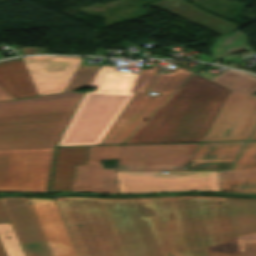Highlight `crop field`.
<instances>
[{
  "instance_id": "1",
  "label": "crop field",
  "mask_w": 256,
  "mask_h": 256,
  "mask_svg": "<svg viewBox=\"0 0 256 256\" xmlns=\"http://www.w3.org/2000/svg\"><path fill=\"white\" fill-rule=\"evenodd\" d=\"M55 199L80 256H241L224 197Z\"/></svg>"
},
{
  "instance_id": "2",
  "label": "crop field",
  "mask_w": 256,
  "mask_h": 256,
  "mask_svg": "<svg viewBox=\"0 0 256 256\" xmlns=\"http://www.w3.org/2000/svg\"><path fill=\"white\" fill-rule=\"evenodd\" d=\"M229 93L193 74L123 143L201 141Z\"/></svg>"
},
{
  "instance_id": "3",
  "label": "crop field",
  "mask_w": 256,
  "mask_h": 256,
  "mask_svg": "<svg viewBox=\"0 0 256 256\" xmlns=\"http://www.w3.org/2000/svg\"><path fill=\"white\" fill-rule=\"evenodd\" d=\"M96 71L77 68L63 92L22 101L0 102V148L56 146Z\"/></svg>"
},
{
  "instance_id": "4",
  "label": "crop field",
  "mask_w": 256,
  "mask_h": 256,
  "mask_svg": "<svg viewBox=\"0 0 256 256\" xmlns=\"http://www.w3.org/2000/svg\"><path fill=\"white\" fill-rule=\"evenodd\" d=\"M137 77L101 65L90 84L98 88L85 93L57 146L98 145L133 96Z\"/></svg>"
},
{
  "instance_id": "5",
  "label": "crop field",
  "mask_w": 256,
  "mask_h": 256,
  "mask_svg": "<svg viewBox=\"0 0 256 256\" xmlns=\"http://www.w3.org/2000/svg\"><path fill=\"white\" fill-rule=\"evenodd\" d=\"M212 81L232 91L202 141L247 140L256 124V76L227 69Z\"/></svg>"
},
{
  "instance_id": "6",
  "label": "crop field",
  "mask_w": 256,
  "mask_h": 256,
  "mask_svg": "<svg viewBox=\"0 0 256 256\" xmlns=\"http://www.w3.org/2000/svg\"><path fill=\"white\" fill-rule=\"evenodd\" d=\"M159 67L141 69L132 91H136L128 105L119 115L100 144L122 143L136 130L179 86L193 73L184 68L159 74L149 91L159 92L158 96L148 95L147 89Z\"/></svg>"
},
{
  "instance_id": "7",
  "label": "crop field",
  "mask_w": 256,
  "mask_h": 256,
  "mask_svg": "<svg viewBox=\"0 0 256 256\" xmlns=\"http://www.w3.org/2000/svg\"><path fill=\"white\" fill-rule=\"evenodd\" d=\"M54 147L0 149V191L47 192Z\"/></svg>"
},
{
  "instance_id": "8",
  "label": "crop field",
  "mask_w": 256,
  "mask_h": 256,
  "mask_svg": "<svg viewBox=\"0 0 256 256\" xmlns=\"http://www.w3.org/2000/svg\"><path fill=\"white\" fill-rule=\"evenodd\" d=\"M119 193L219 191L217 171H116Z\"/></svg>"
},
{
  "instance_id": "9",
  "label": "crop field",
  "mask_w": 256,
  "mask_h": 256,
  "mask_svg": "<svg viewBox=\"0 0 256 256\" xmlns=\"http://www.w3.org/2000/svg\"><path fill=\"white\" fill-rule=\"evenodd\" d=\"M200 143L121 145L116 170H183Z\"/></svg>"
},
{
  "instance_id": "10",
  "label": "crop field",
  "mask_w": 256,
  "mask_h": 256,
  "mask_svg": "<svg viewBox=\"0 0 256 256\" xmlns=\"http://www.w3.org/2000/svg\"><path fill=\"white\" fill-rule=\"evenodd\" d=\"M39 95L63 92L82 57H23Z\"/></svg>"
},
{
  "instance_id": "11",
  "label": "crop field",
  "mask_w": 256,
  "mask_h": 256,
  "mask_svg": "<svg viewBox=\"0 0 256 256\" xmlns=\"http://www.w3.org/2000/svg\"><path fill=\"white\" fill-rule=\"evenodd\" d=\"M26 256H52L26 198H0Z\"/></svg>"
},
{
  "instance_id": "12",
  "label": "crop field",
  "mask_w": 256,
  "mask_h": 256,
  "mask_svg": "<svg viewBox=\"0 0 256 256\" xmlns=\"http://www.w3.org/2000/svg\"><path fill=\"white\" fill-rule=\"evenodd\" d=\"M53 256H79L55 199L27 198Z\"/></svg>"
},
{
  "instance_id": "13",
  "label": "crop field",
  "mask_w": 256,
  "mask_h": 256,
  "mask_svg": "<svg viewBox=\"0 0 256 256\" xmlns=\"http://www.w3.org/2000/svg\"><path fill=\"white\" fill-rule=\"evenodd\" d=\"M120 145L90 147L88 165H77L71 191L118 193L115 176H105L98 159L118 158Z\"/></svg>"
},
{
  "instance_id": "14",
  "label": "crop field",
  "mask_w": 256,
  "mask_h": 256,
  "mask_svg": "<svg viewBox=\"0 0 256 256\" xmlns=\"http://www.w3.org/2000/svg\"><path fill=\"white\" fill-rule=\"evenodd\" d=\"M222 192L256 194V142H247L230 171H219Z\"/></svg>"
},
{
  "instance_id": "15",
  "label": "crop field",
  "mask_w": 256,
  "mask_h": 256,
  "mask_svg": "<svg viewBox=\"0 0 256 256\" xmlns=\"http://www.w3.org/2000/svg\"><path fill=\"white\" fill-rule=\"evenodd\" d=\"M225 198L242 256H256V199Z\"/></svg>"
},
{
  "instance_id": "16",
  "label": "crop field",
  "mask_w": 256,
  "mask_h": 256,
  "mask_svg": "<svg viewBox=\"0 0 256 256\" xmlns=\"http://www.w3.org/2000/svg\"><path fill=\"white\" fill-rule=\"evenodd\" d=\"M150 4L168 13L182 17L217 35L229 33L239 28L232 23L195 8L184 0H159Z\"/></svg>"
},
{
  "instance_id": "17",
  "label": "crop field",
  "mask_w": 256,
  "mask_h": 256,
  "mask_svg": "<svg viewBox=\"0 0 256 256\" xmlns=\"http://www.w3.org/2000/svg\"><path fill=\"white\" fill-rule=\"evenodd\" d=\"M0 85L18 99L38 95L22 58L0 61Z\"/></svg>"
},
{
  "instance_id": "18",
  "label": "crop field",
  "mask_w": 256,
  "mask_h": 256,
  "mask_svg": "<svg viewBox=\"0 0 256 256\" xmlns=\"http://www.w3.org/2000/svg\"><path fill=\"white\" fill-rule=\"evenodd\" d=\"M88 149L58 148L50 192L70 191L76 164H87Z\"/></svg>"
},
{
  "instance_id": "19",
  "label": "crop field",
  "mask_w": 256,
  "mask_h": 256,
  "mask_svg": "<svg viewBox=\"0 0 256 256\" xmlns=\"http://www.w3.org/2000/svg\"><path fill=\"white\" fill-rule=\"evenodd\" d=\"M245 142L201 143L191 161L234 162Z\"/></svg>"
},
{
  "instance_id": "20",
  "label": "crop field",
  "mask_w": 256,
  "mask_h": 256,
  "mask_svg": "<svg viewBox=\"0 0 256 256\" xmlns=\"http://www.w3.org/2000/svg\"><path fill=\"white\" fill-rule=\"evenodd\" d=\"M239 33L240 34L233 33L218 39L210 49L216 60L227 57L228 49L246 46L245 34Z\"/></svg>"
},
{
  "instance_id": "21",
  "label": "crop field",
  "mask_w": 256,
  "mask_h": 256,
  "mask_svg": "<svg viewBox=\"0 0 256 256\" xmlns=\"http://www.w3.org/2000/svg\"><path fill=\"white\" fill-rule=\"evenodd\" d=\"M0 241L7 256H25L10 223L0 224Z\"/></svg>"
},
{
  "instance_id": "22",
  "label": "crop field",
  "mask_w": 256,
  "mask_h": 256,
  "mask_svg": "<svg viewBox=\"0 0 256 256\" xmlns=\"http://www.w3.org/2000/svg\"><path fill=\"white\" fill-rule=\"evenodd\" d=\"M187 169H229L231 163L190 162Z\"/></svg>"
},
{
  "instance_id": "23",
  "label": "crop field",
  "mask_w": 256,
  "mask_h": 256,
  "mask_svg": "<svg viewBox=\"0 0 256 256\" xmlns=\"http://www.w3.org/2000/svg\"><path fill=\"white\" fill-rule=\"evenodd\" d=\"M15 98L11 96L7 91H5L1 86H0V100H14Z\"/></svg>"
},
{
  "instance_id": "24",
  "label": "crop field",
  "mask_w": 256,
  "mask_h": 256,
  "mask_svg": "<svg viewBox=\"0 0 256 256\" xmlns=\"http://www.w3.org/2000/svg\"><path fill=\"white\" fill-rule=\"evenodd\" d=\"M10 222L0 203V223Z\"/></svg>"
},
{
  "instance_id": "25",
  "label": "crop field",
  "mask_w": 256,
  "mask_h": 256,
  "mask_svg": "<svg viewBox=\"0 0 256 256\" xmlns=\"http://www.w3.org/2000/svg\"><path fill=\"white\" fill-rule=\"evenodd\" d=\"M106 175H115V169H105Z\"/></svg>"
},
{
  "instance_id": "26",
  "label": "crop field",
  "mask_w": 256,
  "mask_h": 256,
  "mask_svg": "<svg viewBox=\"0 0 256 256\" xmlns=\"http://www.w3.org/2000/svg\"><path fill=\"white\" fill-rule=\"evenodd\" d=\"M0 256H6V254H5V252H4L3 248H2L1 243H0Z\"/></svg>"
},
{
  "instance_id": "27",
  "label": "crop field",
  "mask_w": 256,
  "mask_h": 256,
  "mask_svg": "<svg viewBox=\"0 0 256 256\" xmlns=\"http://www.w3.org/2000/svg\"><path fill=\"white\" fill-rule=\"evenodd\" d=\"M249 140H256V129Z\"/></svg>"
},
{
  "instance_id": "28",
  "label": "crop field",
  "mask_w": 256,
  "mask_h": 256,
  "mask_svg": "<svg viewBox=\"0 0 256 256\" xmlns=\"http://www.w3.org/2000/svg\"><path fill=\"white\" fill-rule=\"evenodd\" d=\"M0 58H4V56L0 53Z\"/></svg>"
}]
</instances>
